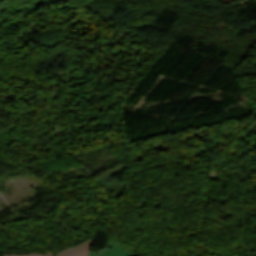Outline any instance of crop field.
Segmentation results:
<instances>
[{"instance_id": "crop-field-1", "label": "crop field", "mask_w": 256, "mask_h": 256, "mask_svg": "<svg viewBox=\"0 0 256 256\" xmlns=\"http://www.w3.org/2000/svg\"><path fill=\"white\" fill-rule=\"evenodd\" d=\"M93 240L94 238L84 242L79 246L71 247L62 252L56 253L55 256H87L92 246Z\"/></svg>"}, {"instance_id": "crop-field-2", "label": "crop field", "mask_w": 256, "mask_h": 256, "mask_svg": "<svg viewBox=\"0 0 256 256\" xmlns=\"http://www.w3.org/2000/svg\"><path fill=\"white\" fill-rule=\"evenodd\" d=\"M111 249H107L103 252L96 253L90 251L88 256H135L132 253L128 252L125 248L121 247L114 240L110 241Z\"/></svg>"}]
</instances>
